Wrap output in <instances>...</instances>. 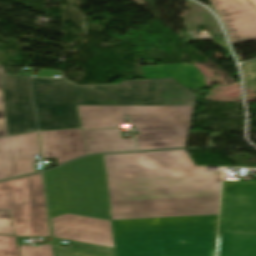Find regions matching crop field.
<instances>
[{"label":"crop field","instance_id":"crop-field-1","mask_svg":"<svg viewBox=\"0 0 256 256\" xmlns=\"http://www.w3.org/2000/svg\"><path fill=\"white\" fill-rule=\"evenodd\" d=\"M113 220L218 214L221 172L185 149L104 155Z\"/></svg>","mask_w":256,"mask_h":256},{"label":"crop field","instance_id":"crop-field-2","mask_svg":"<svg viewBox=\"0 0 256 256\" xmlns=\"http://www.w3.org/2000/svg\"><path fill=\"white\" fill-rule=\"evenodd\" d=\"M40 130L81 127L77 105H194L196 95L173 78L79 86L32 78Z\"/></svg>","mask_w":256,"mask_h":256},{"label":"crop field","instance_id":"crop-field-3","mask_svg":"<svg viewBox=\"0 0 256 256\" xmlns=\"http://www.w3.org/2000/svg\"><path fill=\"white\" fill-rule=\"evenodd\" d=\"M117 256H215L218 215L113 221Z\"/></svg>","mask_w":256,"mask_h":256},{"label":"crop field","instance_id":"crop-field-4","mask_svg":"<svg viewBox=\"0 0 256 256\" xmlns=\"http://www.w3.org/2000/svg\"><path fill=\"white\" fill-rule=\"evenodd\" d=\"M83 129L120 127L130 114L138 150L185 147L194 106H77Z\"/></svg>","mask_w":256,"mask_h":256},{"label":"crop field","instance_id":"crop-field-5","mask_svg":"<svg viewBox=\"0 0 256 256\" xmlns=\"http://www.w3.org/2000/svg\"><path fill=\"white\" fill-rule=\"evenodd\" d=\"M51 217L67 212L111 220L102 155L46 172Z\"/></svg>","mask_w":256,"mask_h":256},{"label":"crop field","instance_id":"crop-field-6","mask_svg":"<svg viewBox=\"0 0 256 256\" xmlns=\"http://www.w3.org/2000/svg\"><path fill=\"white\" fill-rule=\"evenodd\" d=\"M217 256H256V182L224 180Z\"/></svg>","mask_w":256,"mask_h":256},{"label":"crop field","instance_id":"crop-field-7","mask_svg":"<svg viewBox=\"0 0 256 256\" xmlns=\"http://www.w3.org/2000/svg\"><path fill=\"white\" fill-rule=\"evenodd\" d=\"M0 209H10L16 236H50L42 173L0 183Z\"/></svg>","mask_w":256,"mask_h":256},{"label":"crop field","instance_id":"crop-field-8","mask_svg":"<svg viewBox=\"0 0 256 256\" xmlns=\"http://www.w3.org/2000/svg\"><path fill=\"white\" fill-rule=\"evenodd\" d=\"M9 135L37 130L30 76L2 74Z\"/></svg>","mask_w":256,"mask_h":256},{"label":"crop field","instance_id":"crop-field-9","mask_svg":"<svg viewBox=\"0 0 256 256\" xmlns=\"http://www.w3.org/2000/svg\"><path fill=\"white\" fill-rule=\"evenodd\" d=\"M40 155L37 131L0 138V180L33 173Z\"/></svg>","mask_w":256,"mask_h":256},{"label":"crop field","instance_id":"crop-field-10","mask_svg":"<svg viewBox=\"0 0 256 256\" xmlns=\"http://www.w3.org/2000/svg\"><path fill=\"white\" fill-rule=\"evenodd\" d=\"M57 237L114 247L111 222L66 214L52 219Z\"/></svg>","mask_w":256,"mask_h":256},{"label":"crop field","instance_id":"crop-field-11","mask_svg":"<svg viewBox=\"0 0 256 256\" xmlns=\"http://www.w3.org/2000/svg\"><path fill=\"white\" fill-rule=\"evenodd\" d=\"M224 20L231 44L256 40V10L246 0H209Z\"/></svg>","mask_w":256,"mask_h":256},{"label":"crop field","instance_id":"crop-field-12","mask_svg":"<svg viewBox=\"0 0 256 256\" xmlns=\"http://www.w3.org/2000/svg\"><path fill=\"white\" fill-rule=\"evenodd\" d=\"M40 132L43 158L57 157L58 165L88 154L81 129Z\"/></svg>","mask_w":256,"mask_h":256},{"label":"crop field","instance_id":"crop-field-13","mask_svg":"<svg viewBox=\"0 0 256 256\" xmlns=\"http://www.w3.org/2000/svg\"><path fill=\"white\" fill-rule=\"evenodd\" d=\"M83 132L89 154L135 150L132 138L122 139L120 128Z\"/></svg>","mask_w":256,"mask_h":256},{"label":"crop field","instance_id":"crop-field-14","mask_svg":"<svg viewBox=\"0 0 256 256\" xmlns=\"http://www.w3.org/2000/svg\"><path fill=\"white\" fill-rule=\"evenodd\" d=\"M142 70L147 77H174L187 88L206 87L204 75L193 64L145 66Z\"/></svg>","mask_w":256,"mask_h":256},{"label":"crop field","instance_id":"crop-field-15","mask_svg":"<svg viewBox=\"0 0 256 256\" xmlns=\"http://www.w3.org/2000/svg\"><path fill=\"white\" fill-rule=\"evenodd\" d=\"M70 241L73 245L70 249L55 247L56 256H115L114 248L74 240L57 238Z\"/></svg>","mask_w":256,"mask_h":256},{"label":"crop field","instance_id":"crop-field-16","mask_svg":"<svg viewBox=\"0 0 256 256\" xmlns=\"http://www.w3.org/2000/svg\"><path fill=\"white\" fill-rule=\"evenodd\" d=\"M0 256H20L15 237L0 236Z\"/></svg>","mask_w":256,"mask_h":256},{"label":"crop field","instance_id":"crop-field-17","mask_svg":"<svg viewBox=\"0 0 256 256\" xmlns=\"http://www.w3.org/2000/svg\"><path fill=\"white\" fill-rule=\"evenodd\" d=\"M19 247L22 256H54L52 244L43 245V247L27 245H21Z\"/></svg>","mask_w":256,"mask_h":256},{"label":"crop field","instance_id":"crop-field-18","mask_svg":"<svg viewBox=\"0 0 256 256\" xmlns=\"http://www.w3.org/2000/svg\"><path fill=\"white\" fill-rule=\"evenodd\" d=\"M1 72L3 73L6 72L3 65H0V136H6L8 135V131H7Z\"/></svg>","mask_w":256,"mask_h":256},{"label":"crop field","instance_id":"crop-field-19","mask_svg":"<svg viewBox=\"0 0 256 256\" xmlns=\"http://www.w3.org/2000/svg\"><path fill=\"white\" fill-rule=\"evenodd\" d=\"M0 234L15 236L9 210H0Z\"/></svg>","mask_w":256,"mask_h":256},{"label":"crop field","instance_id":"crop-field-20","mask_svg":"<svg viewBox=\"0 0 256 256\" xmlns=\"http://www.w3.org/2000/svg\"><path fill=\"white\" fill-rule=\"evenodd\" d=\"M243 68L249 75L246 79L248 87L256 92V60L243 64Z\"/></svg>","mask_w":256,"mask_h":256},{"label":"crop field","instance_id":"crop-field-21","mask_svg":"<svg viewBox=\"0 0 256 256\" xmlns=\"http://www.w3.org/2000/svg\"><path fill=\"white\" fill-rule=\"evenodd\" d=\"M53 75H62V71L41 69L36 76L53 77Z\"/></svg>","mask_w":256,"mask_h":256},{"label":"crop field","instance_id":"crop-field-22","mask_svg":"<svg viewBox=\"0 0 256 256\" xmlns=\"http://www.w3.org/2000/svg\"><path fill=\"white\" fill-rule=\"evenodd\" d=\"M256 7V0H249Z\"/></svg>","mask_w":256,"mask_h":256}]
</instances>
